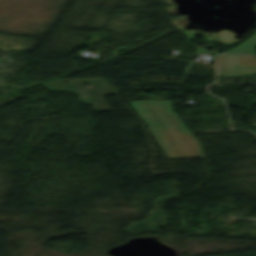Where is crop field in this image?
<instances>
[{
	"label": "crop field",
	"instance_id": "obj_1",
	"mask_svg": "<svg viewBox=\"0 0 256 256\" xmlns=\"http://www.w3.org/2000/svg\"><path fill=\"white\" fill-rule=\"evenodd\" d=\"M130 103L169 158L202 156L196 140L174 115L169 101Z\"/></svg>",
	"mask_w": 256,
	"mask_h": 256
},
{
	"label": "crop field",
	"instance_id": "obj_2",
	"mask_svg": "<svg viewBox=\"0 0 256 256\" xmlns=\"http://www.w3.org/2000/svg\"><path fill=\"white\" fill-rule=\"evenodd\" d=\"M255 48H256V33L246 42L234 48L233 50H230L229 52L254 54Z\"/></svg>",
	"mask_w": 256,
	"mask_h": 256
}]
</instances>
